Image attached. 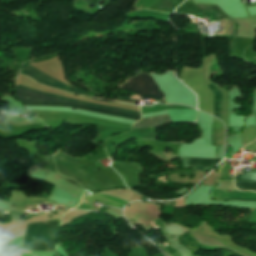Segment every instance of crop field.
I'll list each match as a JSON object with an SVG mask.
<instances>
[{
  "label": "crop field",
  "mask_w": 256,
  "mask_h": 256,
  "mask_svg": "<svg viewBox=\"0 0 256 256\" xmlns=\"http://www.w3.org/2000/svg\"><path fill=\"white\" fill-rule=\"evenodd\" d=\"M21 74L27 75L28 77L33 78L34 81L47 86L55 87L57 89L64 90V91L73 92L75 94H80V95L85 94L84 91L77 89L75 87H74L75 88L74 90H70L69 86L42 75L41 73L34 70L28 65L22 70Z\"/></svg>",
  "instance_id": "412701ff"
},
{
  "label": "crop field",
  "mask_w": 256,
  "mask_h": 256,
  "mask_svg": "<svg viewBox=\"0 0 256 256\" xmlns=\"http://www.w3.org/2000/svg\"><path fill=\"white\" fill-rule=\"evenodd\" d=\"M205 84L212 90V92L215 95V100H214V116L218 117L221 119V114H220V102H219V94L218 90L215 86H213L209 80H204Z\"/></svg>",
  "instance_id": "5a996713"
},
{
  "label": "crop field",
  "mask_w": 256,
  "mask_h": 256,
  "mask_svg": "<svg viewBox=\"0 0 256 256\" xmlns=\"http://www.w3.org/2000/svg\"><path fill=\"white\" fill-rule=\"evenodd\" d=\"M150 223H151V225H152L153 227L156 226V224L154 223V221H151Z\"/></svg>",
  "instance_id": "5142ce71"
},
{
  "label": "crop field",
  "mask_w": 256,
  "mask_h": 256,
  "mask_svg": "<svg viewBox=\"0 0 256 256\" xmlns=\"http://www.w3.org/2000/svg\"><path fill=\"white\" fill-rule=\"evenodd\" d=\"M97 200L104 205H111L119 208H123L128 203V202L114 199L112 197H108L105 195H93V196L84 197L82 204L77 208L84 209V210L94 209L91 204L95 203Z\"/></svg>",
  "instance_id": "f4fd0767"
},
{
  "label": "crop field",
  "mask_w": 256,
  "mask_h": 256,
  "mask_svg": "<svg viewBox=\"0 0 256 256\" xmlns=\"http://www.w3.org/2000/svg\"><path fill=\"white\" fill-rule=\"evenodd\" d=\"M123 90H128L137 93L142 98H152L158 101L164 98V94L159 91L154 80L147 74H140L133 78L128 79L125 85H120ZM132 96L130 99H140V96ZM118 100L135 101L129 100V97L119 98Z\"/></svg>",
  "instance_id": "34b2d1b8"
},
{
  "label": "crop field",
  "mask_w": 256,
  "mask_h": 256,
  "mask_svg": "<svg viewBox=\"0 0 256 256\" xmlns=\"http://www.w3.org/2000/svg\"><path fill=\"white\" fill-rule=\"evenodd\" d=\"M163 182H165L164 180H162Z\"/></svg>",
  "instance_id": "4a817a6b"
},
{
  "label": "crop field",
  "mask_w": 256,
  "mask_h": 256,
  "mask_svg": "<svg viewBox=\"0 0 256 256\" xmlns=\"http://www.w3.org/2000/svg\"><path fill=\"white\" fill-rule=\"evenodd\" d=\"M17 253L21 254L20 256H29L31 252H24V251L18 250Z\"/></svg>",
  "instance_id": "cbeb9de0"
},
{
  "label": "crop field",
  "mask_w": 256,
  "mask_h": 256,
  "mask_svg": "<svg viewBox=\"0 0 256 256\" xmlns=\"http://www.w3.org/2000/svg\"><path fill=\"white\" fill-rule=\"evenodd\" d=\"M17 88L22 89V90H26V91H29V92L41 94V95L54 97V98H59V99H63V100L73 101V102H77V103L92 105V106H96V107L111 109V110H115V111H120V112H125V113H130V114L140 116V113L131 112V111L122 110V109H117V108H112V107H107V106L93 104V103L70 100V99L54 96V95H51V94L31 90V89L21 87V86H18V85H17ZM29 92H25V91H21V90L16 89V98L17 99H25L24 94H27V95L30 96V99H28V100L63 101V100L54 99V98H50V97H46V96H41V95L29 93ZM19 101L22 104H31V105L75 107V108L82 109V110L92 111V112H96V113H101V114H106V115H111V116H116V117L136 120V121H138L141 118L139 116H134V115L124 114V113L109 111V110H105V109H100V108H95V107H90V106H85V105H80V104H75V103H63V102H68V101H63V102H45V101H27V100H19Z\"/></svg>",
  "instance_id": "8a807250"
},
{
  "label": "crop field",
  "mask_w": 256,
  "mask_h": 256,
  "mask_svg": "<svg viewBox=\"0 0 256 256\" xmlns=\"http://www.w3.org/2000/svg\"><path fill=\"white\" fill-rule=\"evenodd\" d=\"M183 160L184 168L193 167L194 170L198 171H209L216 164H218L220 160L213 159H190V158H180Z\"/></svg>",
  "instance_id": "dd49c442"
},
{
  "label": "crop field",
  "mask_w": 256,
  "mask_h": 256,
  "mask_svg": "<svg viewBox=\"0 0 256 256\" xmlns=\"http://www.w3.org/2000/svg\"><path fill=\"white\" fill-rule=\"evenodd\" d=\"M235 186L239 190L256 191V183L255 182H235Z\"/></svg>",
  "instance_id": "3316defc"
},
{
  "label": "crop field",
  "mask_w": 256,
  "mask_h": 256,
  "mask_svg": "<svg viewBox=\"0 0 256 256\" xmlns=\"http://www.w3.org/2000/svg\"><path fill=\"white\" fill-rule=\"evenodd\" d=\"M6 247H9V248H15V249H21V248H17L15 246H12V245H8ZM21 250H24V249H21ZM25 251H29V250H25ZM34 254L36 255H40V256H56V253H48V252H37V251H32L31 255L30 256H33Z\"/></svg>",
  "instance_id": "d1516ede"
},
{
  "label": "crop field",
  "mask_w": 256,
  "mask_h": 256,
  "mask_svg": "<svg viewBox=\"0 0 256 256\" xmlns=\"http://www.w3.org/2000/svg\"><path fill=\"white\" fill-rule=\"evenodd\" d=\"M165 123H172L168 114L141 119L133 125V129L157 127Z\"/></svg>",
  "instance_id": "d8731c3e"
},
{
  "label": "crop field",
  "mask_w": 256,
  "mask_h": 256,
  "mask_svg": "<svg viewBox=\"0 0 256 256\" xmlns=\"http://www.w3.org/2000/svg\"><path fill=\"white\" fill-rule=\"evenodd\" d=\"M241 174V173H236ZM252 180L256 182V172H245L243 175H236V181H248Z\"/></svg>",
  "instance_id": "28ad6ade"
},
{
  "label": "crop field",
  "mask_w": 256,
  "mask_h": 256,
  "mask_svg": "<svg viewBox=\"0 0 256 256\" xmlns=\"http://www.w3.org/2000/svg\"><path fill=\"white\" fill-rule=\"evenodd\" d=\"M252 213H250V215H252L248 222H255L256 223V210H250Z\"/></svg>",
  "instance_id": "22f410ed"
},
{
  "label": "crop field",
  "mask_w": 256,
  "mask_h": 256,
  "mask_svg": "<svg viewBox=\"0 0 256 256\" xmlns=\"http://www.w3.org/2000/svg\"><path fill=\"white\" fill-rule=\"evenodd\" d=\"M188 190H186L185 192H187ZM185 192H183V194L185 193Z\"/></svg>",
  "instance_id": "d9b57169"
},
{
  "label": "crop field",
  "mask_w": 256,
  "mask_h": 256,
  "mask_svg": "<svg viewBox=\"0 0 256 256\" xmlns=\"http://www.w3.org/2000/svg\"><path fill=\"white\" fill-rule=\"evenodd\" d=\"M58 220L28 224L23 248L38 251L54 250Z\"/></svg>",
  "instance_id": "ac0d7876"
},
{
  "label": "crop field",
  "mask_w": 256,
  "mask_h": 256,
  "mask_svg": "<svg viewBox=\"0 0 256 256\" xmlns=\"http://www.w3.org/2000/svg\"><path fill=\"white\" fill-rule=\"evenodd\" d=\"M56 207H60V206H56ZM62 208H64V207H62Z\"/></svg>",
  "instance_id": "733c2abd"
},
{
  "label": "crop field",
  "mask_w": 256,
  "mask_h": 256,
  "mask_svg": "<svg viewBox=\"0 0 256 256\" xmlns=\"http://www.w3.org/2000/svg\"><path fill=\"white\" fill-rule=\"evenodd\" d=\"M213 196L217 200H248V201H256V193L250 192H222V191H213Z\"/></svg>",
  "instance_id": "e52e79f7"
}]
</instances>
